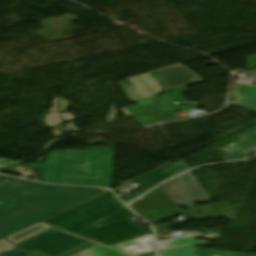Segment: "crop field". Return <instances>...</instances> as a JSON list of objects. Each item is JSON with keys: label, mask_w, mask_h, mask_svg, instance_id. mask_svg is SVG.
<instances>
[{"label": "crop field", "mask_w": 256, "mask_h": 256, "mask_svg": "<svg viewBox=\"0 0 256 256\" xmlns=\"http://www.w3.org/2000/svg\"><path fill=\"white\" fill-rule=\"evenodd\" d=\"M132 216L134 214L108 191L41 222L54 228L16 246L28 253L35 250L58 256L89 242L60 229L108 246L153 233L151 227L141 229L128 219Z\"/></svg>", "instance_id": "crop-field-1"}, {"label": "crop field", "mask_w": 256, "mask_h": 256, "mask_svg": "<svg viewBox=\"0 0 256 256\" xmlns=\"http://www.w3.org/2000/svg\"><path fill=\"white\" fill-rule=\"evenodd\" d=\"M100 191L98 188L42 185L0 176V238Z\"/></svg>", "instance_id": "crop-field-2"}, {"label": "crop field", "mask_w": 256, "mask_h": 256, "mask_svg": "<svg viewBox=\"0 0 256 256\" xmlns=\"http://www.w3.org/2000/svg\"><path fill=\"white\" fill-rule=\"evenodd\" d=\"M114 147L53 150L43 163L40 182L110 187Z\"/></svg>", "instance_id": "crop-field-3"}, {"label": "crop field", "mask_w": 256, "mask_h": 256, "mask_svg": "<svg viewBox=\"0 0 256 256\" xmlns=\"http://www.w3.org/2000/svg\"><path fill=\"white\" fill-rule=\"evenodd\" d=\"M130 207L151 223L176 214L183 216L185 220L191 219L187 213L175 205L160 187L155 188L141 199L135 201Z\"/></svg>", "instance_id": "crop-field-4"}, {"label": "crop field", "mask_w": 256, "mask_h": 256, "mask_svg": "<svg viewBox=\"0 0 256 256\" xmlns=\"http://www.w3.org/2000/svg\"><path fill=\"white\" fill-rule=\"evenodd\" d=\"M152 72L127 78L126 80L131 85H126L125 81L119 82L120 86L133 103L153 97L164 91L160 83L152 76Z\"/></svg>", "instance_id": "crop-field-5"}, {"label": "crop field", "mask_w": 256, "mask_h": 256, "mask_svg": "<svg viewBox=\"0 0 256 256\" xmlns=\"http://www.w3.org/2000/svg\"><path fill=\"white\" fill-rule=\"evenodd\" d=\"M154 76L162 83L167 92L204 82L182 64L157 70L154 72Z\"/></svg>", "instance_id": "crop-field-6"}, {"label": "crop field", "mask_w": 256, "mask_h": 256, "mask_svg": "<svg viewBox=\"0 0 256 256\" xmlns=\"http://www.w3.org/2000/svg\"><path fill=\"white\" fill-rule=\"evenodd\" d=\"M188 169H190V168L187 164H185L184 162H180L175 167H173L169 170H166L164 172L157 168L156 170H152V171L148 172L147 174L130 181V184L136 182L139 186H141L143 184H146V185L141 191L132 194L129 198L124 200V202L125 203L131 202L132 200H134L135 198H137L138 196H140L142 193H144L148 189L152 188L153 186L159 184L160 182L168 179L169 177H171L177 173L186 171Z\"/></svg>", "instance_id": "crop-field-7"}, {"label": "crop field", "mask_w": 256, "mask_h": 256, "mask_svg": "<svg viewBox=\"0 0 256 256\" xmlns=\"http://www.w3.org/2000/svg\"><path fill=\"white\" fill-rule=\"evenodd\" d=\"M69 106L67 101L62 100L61 98L53 99L52 108L49 110L50 114H46V118L44 119L47 127L57 126L59 124L71 121L76 119L71 114H63L60 115L59 112L65 111V107ZM54 130V136H61L63 135V126L56 127Z\"/></svg>", "instance_id": "crop-field-8"}, {"label": "crop field", "mask_w": 256, "mask_h": 256, "mask_svg": "<svg viewBox=\"0 0 256 256\" xmlns=\"http://www.w3.org/2000/svg\"><path fill=\"white\" fill-rule=\"evenodd\" d=\"M256 77V69L245 72ZM232 96L236 99L231 104L256 112V88L252 89L243 84L233 85Z\"/></svg>", "instance_id": "crop-field-9"}, {"label": "crop field", "mask_w": 256, "mask_h": 256, "mask_svg": "<svg viewBox=\"0 0 256 256\" xmlns=\"http://www.w3.org/2000/svg\"><path fill=\"white\" fill-rule=\"evenodd\" d=\"M243 139H240L232 144H229L223 148H221V150H227L229 148H232L234 146H237L233 149H231L230 151H235L243 146H246L252 142H255L256 141V129L254 130H251L249 133L241 136ZM255 147L256 148V143L248 146V147H245L237 152L239 153H243V154H239V153H232V152H226V158H225V161H231V160H239V159H244L246 157V154H244L245 151L251 149Z\"/></svg>", "instance_id": "crop-field-10"}, {"label": "crop field", "mask_w": 256, "mask_h": 256, "mask_svg": "<svg viewBox=\"0 0 256 256\" xmlns=\"http://www.w3.org/2000/svg\"><path fill=\"white\" fill-rule=\"evenodd\" d=\"M154 234L145 237L137 238L122 244L111 246L110 248L125 252L127 254H133L136 252H143L148 250H154L153 248Z\"/></svg>", "instance_id": "crop-field-11"}, {"label": "crop field", "mask_w": 256, "mask_h": 256, "mask_svg": "<svg viewBox=\"0 0 256 256\" xmlns=\"http://www.w3.org/2000/svg\"><path fill=\"white\" fill-rule=\"evenodd\" d=\"M49 228H51V227L46 226V225L41 224V223H38L34 226H31L27 229H24L20 232H17L15 234L7 237L6 239H8V240L12 241L13 243L17 244V243H19V242H21V241H23V240H25V239H27L31 236H34V235H36V234H38L42 231H45Z\"/></svg>", "instance_id": "crop-field-12"}, {"label": "crop field", "mask_w": 256, "mask_h": 256, "mask_svg": "<svg viewBox=\"0 0 256 256\" xmlns=\"http://www.w3.org/2000/svg\"><path fill=\"white\" fill-rule=\"evenodd\" d=\"M203 243H207V241H197L192 237H187L183 239H177L174 241L161 242V243H158L157 246H158V250H162V249L197 245V244H203Z\"/></svg>", "instance_id": "crop-field-13"}, {"label": "crop field", "mask_w": 256, "mask_h": 256, "mask_svg": "<svg viewBox=\"0 0 256 256\" xmlns=\"http://www.w3.org/2000/svg\"><path fill=\"white\" fill-rule=\"evenodd\" d=\"M136 255H132V256H136ZM75 256H128V255L97 245Z\"/></svg>", "instance_id": "crop-field-14"}, {"label": "crop field", "mask_w": 256, "mask_h": 256, "mask_svg": "<svg viewBox=\"0 0 256 256\" xmlns=\"http://www.w3.org/2000/svg\"><path fill=\"white\" fill-rule=\"evenodd\" d=\"M194 256H256V255L198 248Z\"/></svg>", "instance_id": "crop-field-15"}, {"label": "crop field", "mask_w": 256, "mask_h": 256, "mask_svg": "<svg viewBox=\"0 0 256 256\" xmlns=\"http://www.w3.org/2000/svg\"><path fill=\"white\" fill-rule=\"evenodd\" d=\"M195 250H196V247L162 251V252H159V256H192Z\"/></svg>", "instance_id": "crop-field-16"}, {"label": "crop field", "mask_w": 256, "mask_h": 256, "mask_svg": "<svg viewBox=\"0 0 256 256\" xmlns=\"http://www.w3.org/2000/svg\"><path fill=\"white\" fill-rule=\"evenodd\" d=\"M95 245H97V244L89 242V243H87L85 245L77 247V248H75V249H73V250H71V251H69L67 253H64V254L60 255V256H73V255H75L77 253H80V252H82V251H84V250H86L88 248H91V247H93ZM28 256H45V255H43V254H41L39 252H34V253H32V254H30Z\"/></svg>", "instance_id": "crop-field-17"}, {"label": "crop field", "mask_w": 256, "mask_h": 256, "mask_svg": "<svg viewBox=\"0 0 256 256\" xmlns=\"http://www.w3.org/2000/svg\"><path fill=\"white\" fill-rule=\"evenodd\" d=\"M115 106L116 105H113L112 108H111L110 114H109L108 119H107L108 122L114 121L116 119L118 110H114ZM121 111L125 114L126 117L131 116V114L127 110V108L121 109Z\"/></svg>", "instance_id": "crop-field-18"}, {"label": "crop field", "mask_w": 256, "mask_h": 256, "mask_svg": "<svg viewBox=\"0 0 256 256\" xmlns=\"http://www.w3.org/2000/svg\"><path fill=\"white\" fill-rule=\"evenodd\" d=\"M14 248V246H12L11 244H9L7 241H5L4 239L0 240V254L8 251L10 249Z\"/></svg>", "instance_id": "crop-field-19"}, {"label": "crop field", "mask_w": 256, "mask_h": 256, "mask_svg": "<svg viewBox=\"0 0 256 256\" xmlns=\"http://www.w3.org/2000/svg\"><path fill=\"white\" fill-rule=\"evenodd\" d=\"M23 255H26V254L16 248H14L8 252L1 254L0 256H23Z\"/></svg>", "instance_id": "crop-field-20"}, {"label": "crop field", "mask_w": 256, "mask_h": 256, "mask_svg": "<svg viewBox=\"0 0 256 256\" xmlns=\"http://www.w3.org/2000/svg\"><path fill=\"white\" fill-rule=\"evenodd\" d=\"M6 162H12V161H10V160H5V159H0V164L6 163Z\"/></svg>", "instance_id": "crop-field-21"}, {"label": "crop field", "mask_w": 256, "mask_h": 256, "mask_svg": "<svg viewBox=\"0 0 256 256\" xmlns=\"http://www.w3.org/2000/svg\"><path fill=\"white\" fill-rule=\"evenodd\" d=\"M140 256H155L154 253H149V254H143V255H140Z\"/></svg>", "instance_id": "crop-field-22"}]
</instances>
